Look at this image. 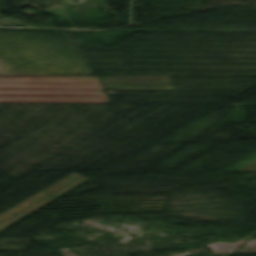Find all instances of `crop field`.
<instances>
[{"label": "crop field", "instance_id": "obj_3", "mask_svg": "<svg viewBox=\"0 0 256 256\" xmlns=\"http://www.w3.org/2000/svg\"><path fill=\"white\" fill-rule=\"evenodd\" d=\"M80 175L72 174L63 180L59 181L58 183L52 185L51 187L45 189L44 191L38 193L37 195L33 196L32 198L26 200L25 202L19 204L18 206L12 208L11 210L7 211L6 213L0 215V222L9 218L10 216L14 215L15 213L21 211L22 209L26 208L27 206L33 204L34 202L40 200L41 198L47 196L48 194L52 193L53 191L59 189L60 187L66 185L67 183L73 181Z\"/></svg>", "mask_w": 256, "mask_h": 256}, {"label": "crop field", "instance_id": "obj_1", "mask_svg": "<svg viewBox=\"0 0 256 256\" xmlns=\"http://www.w3.org/2000/svg\"><path fill=\"white\" fill-rule=\"evenodd\" d=\"M0 102L110 101L97 76H0Z\"/></svg>", "mask_w": 256, "mask_h": 256}, {"label": "crop field", "instance_id": "obj_2", "mask_svg": "<svg viewBox=\"0 0 256 256\" xmlns=\"http://www.w3.org/2000/svg\"><path fill=\"white\" fill-rule=\"evenodd\" d=\"M98 77L104 89L174 90L169 77Z\"/></svg>", "mask_w": 256, "mask_h": 256}]
</instances>
